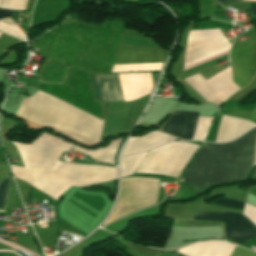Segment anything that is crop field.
Instances as JSON below:
<instances>
[{
  "mask_svg": "<svg viewBox=\"0 0 256 256\" xmlns=\"http://www.w3.org/2000/svg\"><path fill=\"white\" fill-rule=\"evenodd\" d=\"M123 22L106 20L101 24L86 23L75 15L33 41L42 58L35 72L41 81L60 83L65 69L75 66L95 73H108L119 47Z\"/></svg>",
  "mask_w": 256,
  "mask_h": 256,
  "instance_id": "obj_1",
  "label": "crop field"
},
{
  "mask_svg": "<svg viewBox=\"0 0 256 256\" xmlns=\"http://www.w3.org/2000/svg\"><path fill=\"white\" fill-rule=\"evenodd\" d=\"M12 143L25 167L10 165L15 178L26 181L55 200L72 185L81 187L116 179V168L57 161L71 145L46 134L31 145Z\"/></svg>",
  "mask_w": 256,
  "mask_h": 256,
  "instance_id": "obj_2",
  "label": "crop field"
},
{
  "mask_svg": "<svg viewBox=\"0 0 256 256\" xmlns=\"http://www.w3.org/2000/svg\"><path fill=\"white\" fill-rule=\"evenodd\" d=\"M16 115L52 127L90 145L98 144L103 123L40 91L32 98L24 99Z\"/></svg>",
  "mask_w": 256,
  "mask_h": 256,
  "instance_id": "obj_3",
  "label": "crop field"
},
{
  "mask_svg": "<svg viewBox=\"0 0 256 256\" xmlns=\"http://www.w3.org/2000/svg\"><path fill=\"white\" fill-rule=\"evenodd\" d=\"M21 72L17 81L49 93L99 119L103 114L102 105L94 101L88 74L86 71L69 67L67 80L62 84L41 83L36 75L22 78Z\"/></svg>",
  "mask_w": 256,
  "mask_h": 256,
  "instance_id": "obj_4",
  "label": "crop field"
},
{
  "mask_svg": "<svg viewBox=\"0 0 256 256\" xmlns=\"http://www.w3.org/2000/svg\"><path fill=\"white\" fill-rule=\"evenodd\" d=\"M193 219L225 222V237L237 243H246L248 239L256 237L254 225L238 213L199 212Z\"/></svg>",
  "mask_w": 256,
  "mask_h": 256,
  "instance_id": "obj_5",
  "label": "crop field"
},
{
  "mask_svg": "<svg viewBox=\"0 0 256 256\" xmlns=\"http://www.w3.org/2000/svg\"><path fill=\"white\" fill-rule=\"evenodd\" d=\"M256 57V37L237 45L230 52L233 68V82L240 88L248 85L254 75V60Z\"/></svg>",
  "mask_w": 256,
  "mask_h": 256,
  "instance_id": "obj_6",
  "label": "crop field"
},
{
  "mask_svg": "<svg viewBox=\"0 0 256 256\" xmlns=\"http://www.w3.org/2000/svg\"><path fill=\"white\" fill-rule=\"evenodd\" d=\"M89 76L95 100L101 102L126 101L119 74L106 76L89 74Z\"/></svg>",
  "mask_w": 256,
  "mask_h": 256,
  "instance_id": "obj_7",
  "label": "crop field"
},
{
  "mask_svg": "<svg viewBox=\"0 0 256 256\" xmlns=\"http://www.w3.org/2000/svg\"><path fill=\"white\" fill-rule=\"evenodd\" d=\"M162 63L161 49L121 45L114 66Z\"/></svg>",
  "mask_w": 256,
  "mask_h": 256,
  "instance_id": "obj_8",
  "label": "crop field"
},
{
  "mask_svg": "<svg viewBox=\"0 0 256 256\" xmlns=\"http://www.w3.org/2000/svg\"><path fill=\"white\" fill-rule=\"evenodd\" d=\"M197 118L198 112H174L163 131L185 140H191Z\"/></svg>",
  "mask_w": 256,
  "mask_h": 256,
  "instance_id": "obj_9",
  "label": "crop field"
},
{
  "mask_svg": "<svg viewBox=\"0 0 256 256\" xmlns=\"http://www.w3.org/2000/svg\"><path fill=\"white\" fill-rule=\"evenodd\" d=\"M174 141L173 136L166 135L159 131L150 132L143 137L130 138L123 155L137 153L148 149L155 148L167 142Z\"/></svg>",
  "mask_w": 256,
  "mask_h": 256,
  "instance_id": "obj_10",
  "label": "crop field"
},
{
  "mask_svg": "<svg viewBox=\"0 0 256 256\" xmlns=\"http://www.w3.org/2000/svg\"><path fill=\"white\" fill-rule=\"evenodd\" d=\"M253 126V123L223 116L215 142L233 140Z\"/></svg>",
  "mask_w": 256,
  "mask_h": 256,
  "instance_id": "obj_11",
  "label": "crop field"
},
{
  "mask_svg": "<svg viewBox=\"0 0 256 256\" xmlns=\"http://www.w3.org/2000/svg\"><path fill=\"white\" fill-rule=\"evenodd\" d=\"M119 142H120V140L114 141V142L111 143L110 146H108L104 150H100V151H96V152L82 151V150H80L76 147H74V149H75V151H78V152H81V153H84V154L88 155L93 160L113 164L115 150H116Z\"/></svg>",
  "mask_w": 256,
  "mask_h": 256,
  "instance_id": "obj_12",
  "label": "crop field"
},
{
  "mask_svg": "<svg viewBox=\"0 0 256 256\" xmlns=\"http://www.w3.org/2000/svg\"><path fill=\"white\" fill-rule=\"evenodd\" d=\"M146 153L147 152L121 158L122 177L132 175Z\"/></svg>",
  "mask_w": 256,
  "mask_h": 256,
  "instance_id": "obj_13",
  "label": "crop field"
},
{
  "mask_svg": "<svg viewBox=\"0 0 256 256\" xmlns=\"http://www.w3.org/2000/svg\"><path fill=\"white\" fill-rule=\"evenodd\" d=\"M10 179L5 178L0 181V212H4Z\"/></svg>",
  "mask_w": 256,
  "mask_h": 256,
  "instance_id": "obj_14",
  "label": "crop field"
},
{
  "mask_svg": "<svg viewBox=\"0 0 256 256\" xmlns=\"http://www.w3.org/2000/svg\"><path fill=\"white\" fill-rule=\"evenodd\" d=\"M21 42L18 39L2 34L0 37V51L8 52L13 46Z\"/></svg>",
  "mask_w": 256,
  "mask_h": 256,
  "instance_id": "obj_15",
  "label": "crop field"
},
{
  "mask_svg": "<svg viewBox=\"0 0 256 256\" xmlns=\"http://www.w3.org/2000/svg\"><path fill=\"white\" fill-rule=\"evenodd\" d=\"M227 115L237 117V118L248 119L252 122H255V120H256V107L253 111L233 110Z\"/></svg>",
  "mask_w": 256,
  "mask_h": 256,
  "instance_id": "obj_16",
  "label": "crop field"
},
{
  "mask_svg": "<svg viewBox=\"0 0 256 256\" xmlns=\"http://www.w3.org/2000/svg\"><path fill=\"white\" fill-rule=\"evenodd\" d=\"M213 204L242 210L244 202L226 199V198H220L217 201H215Z\"/></svg>",
  "mask_w": 256,
  "mask_h": 256,
  "instance_id": "obj_17",
  "label": "crop field"
},
{
  "mask_svg": "<svg viewBox=\"0 0 256 256\" xmlns=\"http://www.w3.org/2000/svg\"><path fill=\"white\" fill-rule=\"evenodd\" d=\"M254 89H256V76L248 87L236 92L229 99H231L232 101L235 102L239 98H241L242 96H244V95L248 94L249 92L253 91Z\"/></svg>",
  "mask_w": 256,
  "mask_h": 256,
  "instance_id": "obj_18",
  "label": "crop field"
},
{
  "mask_svg": "<svg viewBox=\"0 0 256 256\" xmlns=\"http://www.w3.org/2000/svg\"><path fill=\"white\" fill-rule=\"evenodd\" d=\"M35 1V0H34ZM34 1L33 3H27V6H26V11H23V16H24V13H28V19H23L22 17V25H21V28L23 29V31L26 33L28 27H29V21H30V13H31V9H32V6L34 4ZM29 2H32V0H29ZM24 18H27V14H25Z\"/></svg>",
  "mask_w": 256,
  "mask_h": 256,
  "instance_id": "obj_19",
  "label": "crop field"
},
{
  "mask_svg": "<svg viewBox=\"0 0 256 256\" xmlns=\"http://www.w3.org/2000/svg\"><path fill=\"white\" fill-rule=\"evenodd\" d=\"M231 256H256V253L237 247Z\"/></svg>",
  "mask_w": 256,
  "mask_h": 256,
  "instance_id": "obj_20",
  "label": "crop field"
},
{
  "mask_svg": "<svg viewBox=\"0 0 256 256\" xmlns=\"http://www.w3.org/2000/svg\"><path fill=\"white\" fill-rule=\"evenodd\" d=\"M11 14H12V11L0 9V18L11 16Z\"/></svg>",
  "mask_w": 256,
  "mask_h": 256,
  "instance_id": "obj_21",
  "label": "crop field"
},
{
  "mask_svg": "<svg viewBox=\"0 0 256 256\" xmlns=\"http://www.w3.org/2000/svg\"><path fill=\"white\" fill-rule=\"evenodd\" d=\"M250 14L256 17V2H252L251 4V9H250Z\"/></svg>",
  "mask_w": 256,
  "mask_h": 256,
  "instance_id": "obj_22",
  "label": "crop field"
},
{
  "mask_svg": "<svg viewBox=\"0 0 256 256\" xmlns=\"http://www.w3.org/2000/svg\"><path fill=\"white\" fill-rule=\"evenodd\" d=\"M217 2L224 3V2H235V1H239V0H216Z\"/></svg>",
  "mask_w": 256,
  "mask_h": 256,
  "instance_id": "obj_23",
  "label": "crop field"
}]
</instances>
